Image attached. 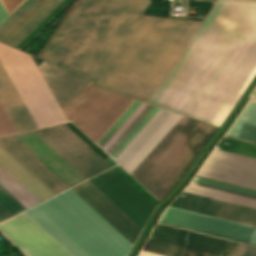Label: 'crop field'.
I'll list each match as a JSON object with an SVG mask.
<instances>
[{"label":"crop field","instance_id":"3316defc","mask_svg":"<svg viewBox=\"0 0 256 256\" xmlns=\"http://www.w3.org/2000/svg\"><path fill=\"white\" fill-rule=\"evenodd\" d=\"M0 101L18 132L36 128L19 95L0 63ZM0 103V135L16 133L17 130Z\"/></svg>","mask_w":256,"mask_h":256},{"label":"crop field","instance_id":"34b2d1b8","mask_svg":"<svg viewBox=\"0 0 256 256\" xmlns=\"http://www.w3.org/2000/svg\"><path fill=\"white\" fill-rule=\"evenodd\" d=\"M25 213L73 256H121L56 197ZM25 213L0 231L27 256H72Z\"/></svg>","mask_w":256,"mask_h":256},{"label":"crop field","instance_id":"d1516ede","mask_svg":"<svg viewBox=\"0 0 256 256\" xmlns=\"http://www.w3.org/2000/svg\"><path fill=\"white\" fill-rule=\"evenodd\" d=\"M69 187L85 180L34 131L13 135Z\"/></svg>","mask_w":256,"mask_h":256},{"label":"crop field","instance_id":"d9b57169","mask_svg":"<svg viewBox=\"0 0 256 256\" xmlns=\"http://www.w3.org/2000/svg\"><path fill=\"white\" fill-rule=\"evenodd\" d=\"M0 164L41 201L53 196L40 182L0 147Z\"/></svg>","mask_w":256,"mask_h":256},{"label":"crop field","instance_id":"dd49c442","mask_svg":"<svg viewBox=\"0 0 256 256\" xmlns=\"http://www.w3.org/2000/svg\"><path fill=\"white\" fill-rule=\"evenodd\" d=\"M161 222L256 245V227L168 206Z\"/></svg>","mask_w":256,"mask_h":256},{"label":"crop field","instance_id":"5a996713","mask_svg":"<svg viewBox=\"0 0 256 256\" xmlns=\"http://www.w3.org/2000/svg\"><path fill=\"white\" fill-rule=\"evenodd\" d=\"M171 206L256 226V210L182 192Z\"/></svg>","mask_w":256,"mask_h":256},{"label":"crop field","instance_id":"a9b5d70f","mask_svg":"<svg viewBox=\"0 0 256 256\" xmlns=\"http://www.w3.org/2000/svg\"><path fill=\"white\" fill-rule=\"evenodd\" d=\"M228 256H256V247L238 243Z\"/></svg>","mask_w":256,"mask_h":256},{"label":"crop field","instance_id":"ac0d7876","mask_svg":"<svg viewBox=\"0 0 256 256\" xmlns=\"http://www.w3.org/2000/svg\"><path fill=\"white\" fill-rule=\"evenodd\" d=\"M39 69L66 115L92 83L45 61ZM139 102L91 85L67 116L102 147ZM177 115L141 101L102 148L130 171ZM215 129L179 114L130 173L161 200Z\"/></svg>","mask_w":256,"mask_h":256},{"label":"crop field","instance_id":"214f88e0","mask_svg":"<svg viewBox=\"0 0 256 256\" xmlns=\"http://www.w3.org/2000/svg\"><path fill=\"white\" fill-rule=\"evenodd\" d=\"M42 0H25L1 25L0 41Z\"/></svg>","mask_w":256,"mask_h":256},{"label":"crop field","instance_id":"22f410ed","mask_svg":"<svg viewBox=\"0 0 256 256\" xmlns=\"http://www.w3.org/2000/svg\"><path fill=\"white\" fill-rule=\"evenodd\" d=\"M0 146L54 195L69 188L12 135L0 137Z\"/></svg>","mask_w":256,"mask_h":256},{"label":"crop field","instance_id":"4177f3b9","mask_svg":"<svg viewBox=\"0 0 256 256\" xmlns=\"http://www.w3.org/2000/svg\"><path fill=\"white\" fill-rule=\"evenodd\" d=\"M7 16L8 15H7L5 9L3 8V6L0 2V23H2L6 19Z\"/></svg>","mask_w":256,"mask_h":256},{"label":"crop field","instance_id":"5142ce71","mask_svg":"<svg viewBox=\"0 0 256 256\" xmlns=\"http://www.w3.org/2000/svg\"><path fill=\"white\" fill-rule=\"evenodd\" d=\"M0 185L26 209L40 203L28 189L17 181L0 165ZM0 186V222L25 210L10 194Z\"/></svg>","mask_w":256,"mask_h":256},{"label":"crop field","instance_id":"dafd665d","mask_svg":"<svg viewBox=\"0 0 256 256\" xmlns=\"http://www.w3.org/2000/svg\"><path fill=\"white\" fill-rule=\"evenodd\" d=\"M216 148L256 158V144L236 139L224 137Z\"/></svg>","mask_w":256,"mask_h":256},{"label":"crop field","instance_id":"d8731c3e","mask_svg":"<svg viewBox=\"0 0 256 256\" xmlns=\"http://www.w3.org/2000/svg\"><path fill=\"white\" fill-rule=\"evenodd\" d=\"M56 197L100 235L108 244H110L118 253L122 256H126L132 244L77 194L69 189Z\"/></svg>","mask_w":256,"mask_h":256},{"label":"crop field","instance_id":"733c2abd","mask_svg":"<svg viewBox=\"0 0 256 256\" xmlns=\"http://www.w3.org/2000/svg\"><path fill=\"white\" fill-rule=\"evenodd\" d=\"M185 192L256 209V198L191 182Z\"/></svg>","mask_w":256,"mask_h":256},{"label":"crop field","instance_id":"f4fd0767","mask_svg":"<svg viewBox=\"0 0 256 256\" xmlns=\"http://www.w3.org/2000/svg\"><path fill=\"white\" fill-rule=\"evenodd\" d=\"M35 132L86 179L110 168L63 124L35 130Z\"/></svg>","mask_w":256,"mask_h":256},{"label":"crop field","instance_id":"e52e79f7","mask_svg":"<svg viewBox=\"0 0 256 256\" xmlns=\"http://www.w3.org/2000/svg\"><path fill=\"white\" fill-rule=\"evenodd\" d=\"M197 175L256 189V159L214 149Z\"/></svg>","mask_w":256,"mask_h":256},{"label":"crop field","instance_id":"cbeb9de0","mask_svg":"<svg viewBox=\"0 0 256 256\" xmlns=\"http://www.w3.org/2000/svg\"><path fill=\"white\" fill-rule=\"evenodd\" d=\"M151 238L223 255L233 242L156 224Z\"/></svg>","mask_w":256,"mask_h":256},{"label":"crop field","instance_id":"28ad6ade","mask_svg":"<svg viewBox=\"0 0 256 256\" xmlns=\"http://www.w3.org/2000/svg\"><path fill=\"white\" fill-rule=\"evenodd\" d=\"M71 189L133 244L141 229L95 186L87 180Z\"/></svg>","mask_w":256,"mask_h":256},{"label":"crop field","instance_id":"730fd06b","mask_svg":"<svg viewBox=\"0 0 256 256\" xmlns=\"http://www.w3.org/2000/svg\"><path fill=\"white\" fill-rule=\"evenodd\" d=\"M139 256H160V255H156V254L141 251Z\"/></svg>","mask_w":256,"mask_h":256},{"label":"crop field","instance_id":"bc2a9ffb","mask_svg":"<svg viewBox=\"0 0 256 256\" xmlns=\"http://www.w3.org/2000/svg\"><path fill=\"white\" fill-rule=\"evenodd\" d=\"M143 250L164 256H220L151 238H148Z\"/></svg>","mask_w":256,"mask_h":256},{"label":"crop field","instance_id":"4a817a6b","mask_svg":"<svg viewBox=\"0 0 256 256\" xmlns=\"http://www.w3.org/2000/svg\"><path fill=\"white\" fill-rule=\"evenodd\" d=\"M227 135L256 142V104L248 102Z\"/></svg>","mask_w":256,"mask_h":256},{"label":"crop field","instance_id":"92a150f3","mask_svg":"<svg viewBox=\"0 0 256 256\" xmlns=\"http://www.w3.org/2000/svg\"><path fill=\"white\" fill-rule=\"evenodd\" d=\"M63 0H52L8 45L16 47L41 21H43Z\"/></svg>","mask_w":256,"mask_h":256},{"label":"crop field","instance_id":"412701ff","mask_svg":"<svg viewBox=\"0 0 256 256\" xmlns=\"http://www.w3.org/2000/svg\"><path fill=\"white\" fill-rule=\"evenodd\" d=\"M0 61L37 128L67 121L30 55L0 43Z\"/></svg>","mask_w":256,"mask_h":256},{"label":"crop field","instance_id":"ae1a2a85","mask_svg":"<svg viewBox=\"0 0 256 256\" xmlns=\"http://www.w3.org/2000/svg\"><path fill=\"white\" fill-rule=\"evenodd\" d=\"M250 101H251V102H255V103H256V100H254V99H250Z\"/></svg>","mask_w":256,"mask_h":256},{"label":"crop field","instance_id":"8a807250","mask_svg":"<svg viewBox=\"0 0 256 256\" xmlns=\"http://www.w3.org/2000/svg\"><path fill=\"white\" fill-rule=\"evenodd\" d=\"M149 1L81 0L41 59L94 81ZM201 22L141 15L95 85L148 101ZM256 74V0H217L148 102L220 127Z\"/></svg>","mask_w":256,"mask_h":256},{"label":"crop field","instance_id":"00972430","mask_svg":"<svg viewBox=\"0 0 256 256\" xmlns=\"http://www.w3.org/2000/svg\"><path fill=\"white\" fill-rule=\"evenodd\" d=\"M192 181L210 185V186H214V187H218V188L235 191V192H239V193H243V194H247V195H251V196H256V192H253V191H249V190H245V189H241V188H237V187H233V186H229V185H225V184H221V183H217V182H213V181H209V180H205V179H201V178H197V177H194Z\"/></svg>","mask_w":256,"mask_h":256},{"label":"crop field","instance_id":"eef30255","mask_svg":"<svg viewBox=\"0 0 256 256\" xmlns=\"http://www.w3.org/2000/svg\"><path fill=\"white\" fill-rule=\"evenodd\" d=\"M249 97L256 98V87L253 89Z\"/></svg>","mask_w":256,"mask_h":256}]
</instances>
